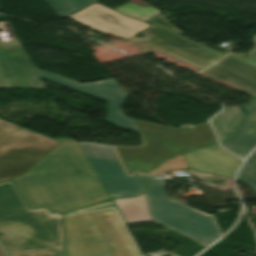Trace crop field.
I'll return each mask as SVG.
<instances>
[{"label": "crop field", "instance_id": "22", "mask_svg": "<svg viewBox=\"0 0 256 256\" xmlns=\"http://www.w3.org/2000/svg\"><path fill=\"white\" fill-rule=\"evenodd\" d=\"M147 23H150V24H153V25H156V26H160V27H164V28H167V29H170V30H173V31H176V32L182 34V32H180L175 27H173L170 24V22L162 14H159L158 16L154 17L153 19H151Z\"/></svg>", "mask_w": 256, "mask_h": 256}, {"label": "crop field", "instance_id": "2", "mask_svg": "<svg viewBox=\"0 0 256 256\" xmlns=\"http://www.w3.org/2000/svg\"><path fill=\"white\" fill-rule=\"evenodd\" d=\"M43 79L108 103L106 122L116 127L142 133L145 147H116V151L127 172H142L155 168L161 161L180 153V148L192 132L180 128L141 122L122 114L121 107L128 95L113 80L98 83L78 84L57 75L35 68Z\"/></svg>", "mask_w": 256, "mask_h": 256}, {"label": "crop field", "instance_id": "13", "mask_svg": "<svg viewBox=\"0 0 256 256\" xmlns=\"http://www.w3.org/2000/svg\"><path fill=\"white\" fill-rule=\"evenodd\" d=\"M200 73L230 83L251 97L256 96V69L228 56Z\"/></svg>", "mask_w": 256, "mask_h": 256}, {"label": "crop field", "instance_id": "21", "mask_svg": "<svg viewBox=\"0 0 256 256\" xmlns=\"http://www.w3.org/2000/svg\"><path fill=\"white\" fill-rule=\"evenodd\" d=\"M107 207H114V204L111 202V200L93 204V205H89V206H85V207H81V208L74 209V210H71L68 212H64L63 215L84 212V211H90V210H95V209H101V208H107Z\"/></svg>", "mask_w": 256, "mask_h": 256}, {"label": "crop field", "instance_id": "3", "mask_svg": "<svg viewBox=\"0 0 256 256\" xmlns=\"http://www.w3.org/2000/svg\"><path fill=\"white\" fill-rule=\"evenodd\" d=\"M44 207L30 210L13 180L0 183V242L7 254L55 249L64 256L61 217Z\"/></svg>", "mask_w": 256, "mask_h": 256}, {"label": "crop field", "instance_id": "8", "mask_svg": "<svg viewBox=\"0 0 256 256\" xmlns=\"http://www.w3.org/2000/svg\"><path fill=\"white\" fill-rule=\"evenodd\" d=\"M141 32L144 38L132 37L128 41L155 48L201 70L224 55L153 25Z\"/></svg>", "mask_w": 256, "mask_h": 256}, {"label": "crop field", "instance_id": "14", "mask_svg": "<svg viewBox=\"0 0 256 256\" xmlns=\"http://www.w3.org/2000/svg\"><path fill=\"white\" fill-rule=\"evenodd\" d=\"M244 108L247 111V115L237 133L221 144L229 151L243 158L256 145V98L252 99L250 104Z\"/></svg>", "mask_w": 256, "mask_h": 256}, {"label": "crop field", "instance_id": "6", "mask_svg": "<svg viewBox=\"0 0 256 256\" xmlns=\"http://www.w3.org/2000/svg\"><path fill=\"white\" fill-rule=\"evenodd\" d=\"M164 183L165 179L146 176L147 193L112 200L125 224L186 216L185 205L167 197Z\"/></svg>", "mask_w": 256, "mask_h": 256}, {"label": "crop field", "instance_id": "20", "mask_svg": "<svg viewBox=\"0 0 256 256\" xmlns=\"http://www.w3.org/2000/svg\"><path fill=\"white\" fill-rule=\"evenodd\" d=\"M184 168H188V166L181 155L179 157H176L171 160L163 162L162 165L158 169H156L150 173L162 174L169 170L184 169Z\"/></svg>", "mask_w": 256, "mask_h": 256}, {"label": "crop field", "instance_id": "23", "mask_svg": "<svg viewBox=\"0 0 256 256\" xmlns=\"http://www.w3.org/2000/svg\"><path fill=\"white\" fill-rule=\"evenodd\" d=\"M253 42L256 46V35H254ZM229 56L256 67V48L253 49L252 51H250L249 53H247V57H245V58H243L239 55H236L234 53L230 54Z\"/></svg>", "mask_w": 256, "mask_h": 256}, {"label": "crop field", "instance_id": "24", "mask_svg": "<svg viewBox=\"0 0 256 256\" xmlns=\"http://www.w3.org/2000/svg\"><path fill=\"white\" fill-rule=\"evenodd\" d=\"M8 256H55V253H54V250H50V251L15 254V255H8Z\"/></svg>", "mask_w": 256, "mask_h": 256}, {"label": "crop field", "instance_id": "10", "mask_svg": "<svg viewBox=\"0 0 256 256\" xmlns=\"http://www.w3.org/2000/svg\"><path fill=\"white\" fill-rule=\"evenodd\" d=\"M0 75L6 88H44L21 46H0ZM1 77L0 88H5Z\"/></svg>", "mask_w": 256, "mask_h": 256}, {"label": "crop field", "instance_id": "17", "mask_svg": "<svg viewBox=\"0 0 256 256\" xmlns=\"http://www.w3.org/2000/svg\"><path fill=\"white\" fill-rule=\"evenodd\" d=\"M58 16L75 13L96 0H44Z\"/></svg>", "mask_w": 256, "mask_h": 256}, {"label": "crop field", "instance_id": "9", "mask_svg": "<svg viewBox=\"0 0 256 256\" xmlns=\"http://www.w3.org/2000/svg\"><path fill=\"white\" fill-rule=\"evenodd\" d=\"M66 17L93 30L104 32L125 40L150 25L138 20L127 18L98 3L76 14Z\"/></svg>", "mask_w": 256, "mask_h": 256}, {"label": "crop field", "instance_id": "16", "mask_svg": "<svg viewBox=\"0 0 256 256\" xmlns=\"http://www.w3.org/2000/svg\"><path fill=\"white\" fill-rule=\"evenodd\" d=\"M216 143H217L216 138L209 124L208 123L199 124L196 126L194 131L191 133V135L187 138V140L183 144L181 148V153L191 149L212 145Z\"/></svg>", "mask_w": 256, "mask_h": 256}, {"label": "crop field", "instance_id": "15", "mask_svg": "<svg viewBox=\"0 0 256 256\" xmlns=\"http://www.w3.org/2000/svg\"><path fill=\"white\" fill-rule=\"evenodd\" d=\"M244 115L239 107H233L223 111L211 120L218 133L220 143L236 131Z\"/></svg>", "mask_w": 256, "mask_h": 256}, {"label": "crop field", "instance_id": "1", "mask_svg": "<svg viewBox=\"0 0 256 256\" xmlns=\"http://www.w3.org/2000/svg\"><path fill=\"white\" fill-rule=\"evenodd\" d=\"M56 140L61 143L24 176L15 178L29 206L63 211L108 199L77 141Z\"/></svg>", "mask_w": 256, "mask_h": 256}, {"label": "crop field", "instance_id": "12", "mask_svg": "<svg viewBox=\"0 0 256 256\" xmlns=\"http://www.w3.org/2000/svg\"><path fill=\"white\" fill-rule=\"evenodd\" d=\"M189 167L202 172H214L233 178L241 160L219 145L183 154Z\"/></svg>", "mask_w": 256, "mask_h": 256}, {"label": "crop field", "instance_id": "7", "mask_svg": "<svg viewBox=\"0 0 256 256\" xmlns=\"http://www.w3.org/2000/svg\"><path fill=\"white\" fill-rule=\"evenodd\" d=\"M78 143L110 198L133 197L145 191L143 175L127 177L111 146Z\"/></svg>", "mask_w": 256, "mask_h": 256}, {"label": "crop field", "instance_id": "11", "mask_svg": "<svg viewBox=\"0 0 256 256\" xmlns=\"http://www.w3.org/2000/svg\"><path fill=\"white\" fill-rule=\"evenodd\" d=\"M186 211L187 217L153 222L169 227L205 247L223 234L213 217L193 211L188 207Z\"/></svg>", "mask_w": 256, "mask_h": 256}, {"label": "crop field", "instance_id": "5", "mask_svg": "<svg viewBox=\"0 0 256 256\" xmlns=\"http://www.w3.org/2000/svg\"><path fill=\"white\" fill-rule=\"evenodd\" d=\"M58 144L0 121V181L24 175Z\"/></svg>", "mask_w": 256, "mask_h": 256}, {"label": "crop field", "instance_id": "18", "mask_svg": "<svg viewBox=\"0 0 256 256\" xmlns=\"http://www.w3.org/2000/svg\"><path fill=\"white\" fill-rule=\"evenodd\" d=\"M117 12H120L126 16H130L133 18H136L141 21H148L149 19L153 18L157 14L161 13L154 7L148 5L146 7H140L138 5H135L133 3H126L116 9H114Z\"/></svg>", "mask_w": 256, "mask_h": 256}, {"label": "crop field", "instance_id": "19", "mask_svg": "<svg viewBox=\"0 0 256 256\" xmlns=\"http://www.w3.org/2000/svg\"><path fill=\"white\" fill-rule=\"evenodd\" d=\"M237 180L245 183L251 188L247 183L256 182V151L253 152L248 158L245 166L242 168L237 176ZM252 189V188H251ZM254 192V190L252 189ZM255 193V192H254ZM256 195V193H255Z\"/></svg>", "mask_w": 256, "mask_h": 256}, {"label": "crop field", "instance_id": "25", "mask_svg": "<svg viewBox=\"0 0 256 256\" xmlns=\"http://www.w3.org/2000/svg\"><path fill=\"white\" fill-rule=\"evenodd\" d=\"M252 187H253V189L256 191V183H251L250 184Z\"/></svg>", "mask_w": 256, "mask_h": 256}, {"label": "crop field", "instance_id": "26", "mask_svg": "<svg viewBox=\"0 0 256 256\" xmlns=\"http://www.w3.org/2000/svg\"><path fill=\"white\" fill-rule=\"evenodd\" d=\"M0 256H5L4 253L2 252L1 248H0Z\"/></svg>", "mask_w": 256, "mask_h": 256}, {"label": "crop field", "instance_id": "4", "mask_svg": "<svg viewBox=\"0 0 256 256\" xmlns=\"http://www.w3.org/2000/svg\"><path fill=\"white\" fill-rule=\"evenodd\" d=\"M66 256H141L114 209L64 217Z\"/></svg>", "mask_w": 256, "mask_h": 256}]
</instances>
